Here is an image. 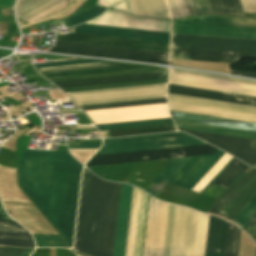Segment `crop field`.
Segmentation results:
<instances>
[{"label":"crop field","mask_w":256,"mask_h":256,"mask_svg":"<svg viewBox=\"0 0 256 256\" xmlns=\"http://www.w3.org/2000/svg\"><path fill=\"white\" fill-rule=\"evenodd\" d=\"M80 168L69 153L26 150L19 171L26 193L68 242L72 240Z\"/></svg>","instance_id":"crop-field-1"},{"label":"crop field","mask_w":256,"mask_h":256,"mask_svg":"<svg viewBox=\"0 0 256 256\" xmlns=\"http://www.w3.org/2000/svg\"><path fill=\"white\" fill-rule=\"evenodd\" d=\"M121 184L83 172L74 247L89 256H113Z\"/></svg>","instance_id":"crop-field-2"},{"label":"crop field","mask_w":256,"mask_h":256,"mask_svg":"<svg viewBox=\"0 0 256 256\" xmlns=\"http://www.w3.org/2000/svg\"><path fill=\"white\" fill-rule=\"evenodd\" d=\"M198 212L169 204L163 256H192ZM209 215L199 212L193 256H204Z\"/></svg>","instance_id":"crop-field-3"},{"label":"crop field","mask_w":256,"mask_h":256,"mask_svg":"<svg viewBox=\"0 0 256 256\" xmlns=\"http://www.w3.org/2000/svg\"><path fill=\"white\" fill-rule=\"evenodd\" d=\"M173 33L256 39V19L208 16L173 20Z\"/></svg>","instance_id":"crop-field-4"},{"label":"crop field","mask_w":256,"mask_h":256,"mask_svg":"<svg viewBox=\"0 0 256 256\" xmlns=\"http://www.w3.org/2000/svg\"><path fill=\"white\" fill-rule=\"evenodd\" d=\"M173 111L256 123V107L168 94Z\"/></svg>","instance_id":"crop-field-5"},{"label":"crop field","mask_w":256,"mask_h":256,"mask_svg":"<svg viewBox=\"0 0 256 256\" xmlns=\"http://www.w3.org/2000/svg\"><path fill=\"white\" fill-rule=\"evenodd\" d=\"M218 149L208 145L127 152L94 156L86 167L215 154Z\"/></svg>","instance_id":"crop-field-6"},{"label":"crop field","mask_w":256,"mask_h":256,"mask_svg":"<svg viewBox=\"0 0 256 256\" xmlns=\"http://www.w3.org/2000/svg\"><path fill=\"white\" fill-rule=\"evenodd\" d=\"M49 51L168 64L169 54L56 41Z\"/></svg>","instance_id":"crop-field-7"},{"label":"crop field","mask_w":256,"mask_h":256,"mask_svg":"<svg viewBox=\"0 0 256 256\" xmlns=\"http://www.w3.org/2000/svg\"><path fill=\"white\" fill-rule=\"evenodd\" d=\"M169 83L256 97V82L171 69Z\"/></svg>","instance_id":"crop-field-8"},{"label":"crop field","mask_w":256,"mask_h":256,"mask_svg":"<svg viewBox=\"0 0 256 256\" xmlns=\"http://www.w3.org/2000/svg\"><path fill=\"white\" fill-rule=\"evenodd\" d=\"M256 192V169L253 168L227 190L210 213L233 220Z\"/></svg>","instance_id":"crop-field-9"},{"label":"crop field","mask_w":256,"mask_h":256,"mask_svg":"<svg viewBox=\"0 0 256 256\" xmlns=\"http://www.w3.org/2000/svg\"><path fill=\"white\" fill-rule=\"evenodd\" d=\"M167 84L67 93L69 96L166 87ZM166 88L71 97L78 105L161 98Z\"/></svg>","instance_id":"crop-field-10"},{"label":"crop field","mask_w":256,"mask_h":256,"mask_svg":"<svg viewBox=\"0 0 256 256\" xmlns=\"http://www.w3.org/2000/svg\"><path fill=\"white\" fill-rule=\"evenodd\" d=\"M172 47L256 53V40L173 34Z\"/></svg>","instance_id":"crop-field-11"},{"label":"crop field","mask_w":256,"mask_h":256,"mask_svg":"<svg viewBox=\"0 0 256 256\" xmlns=\"http://www.w3.org/2000/svg\"><path fill=\"white\" fill-rule=\"evenodd\" d=\"M173 119L256 132V125L170 112ZM174 120L177 127L256 139V133Z\"/></svg>","instance_id":"crop-field-12"},{"label":"crop field","mask_w":256,"mask_h":256,"mask_svg":"<svg viewBox=\"0 0 256 256\" xmlns=\"http://www.w3.org/2000/svg\"><path fill=\"white\" fill-rule=\"evenodd\" d=\"M167 208L150 196L143 256H162Z\"/></svg>","instance_id":"crop-field-13"},{"label":"crop field","mask_w":256,"mask_h":256,"mask_svg":"<svg viewBox=\"0 0 256 256\" xmlns=\"http://www.w3.org/2000/svg\"><path fill=\"white\" fill-rule=\"evenodd\" d=\"M179 131L192 134L198 138H201L223 150L239 158L249 165L256 166V140L237 138L219 134H212L200 131H193L187 129L178 128ZM254 144V146H253ZM253 146V148H252ZM255 149V150H251Z\"/></svg>","instance_id":"crop-field-14"},{"label":"crop field","mask_w":256,"mask_h":256,"mask_svg":"<svg viewBox=\"0 0 256 256\" xmlns=\"http://www.w3.org/2000/svg\"><path fill=\"white\" fill-rule=\"evenodd\" d=\"M78 34L98 35L126 39L146 40L169 43L170 33L108 26L82 24L75 28Z\"/></svg>","instance_id":"crop-field-15"},{"label":"crop field","mask_w":256,"mask_h":256,"mask_svg":"<svg viewBox=\"0 0 256 256\" xmlns=\"http://www.w3.org/2000/svg\"><path fill=\"white\" fill-rule=\"evenodd\" d=\"M223 154L224 152L218 150L215 155L190 157L189 160L170 181V183L191 189ZM228 163L226 164V166L228 165ZM217 175L209 182V184L217 177ZM208 185L201 191V193L208 187Z\"/></svg>","instance_id":"crop-field-16"},{"label":"crop field","mask_w":256,"mask_h":256,"mask_svg":"<svg viewBox=\"0 0 256 256\" xmlns=\"http://www.w3.org/2000/svg\"><path fill=\"white\" fill-rule=\"evenodd\" d=\"M56 40L169 53V44L165 43L145 42L78 34L57 36Z\"/></svg>","instance_id":"crop-field-17"},{"label":"crop field","mask_w":256,"mask_h":256,"mask_svg":"<svg viewBox=\"0 0 256 256\" xmlns=\"http://www.w3.org/2000/svg\"><path fill=\"white\" fill-rule=\"evenodd\" d=\"M203 143L204 142L192 136H186V137H176V138L157 139V140H148V141L109 144V145H105L96 155L193 145V144H203Z\"/></svg>","instance_id":"crop-field-18"},{"label":"crop field","mask_w":256,"mask_h":256,"mask_svg":"<svg viewBox=\"0 0 256 256\" xmlns=\"http://www.w3.org/2000/svg\"><path fill=\"white\" fill-rule=\"evenodd\" d=\"M134 187L122 184L114 256H126Z\"/></svg>","instance_id":"crop-field-19"},{"label":"crop field","mask_w":256,"mask_h":256,"mask_svg":"<svg viewBox=\"0 0 256 256\" xmlns=\"http://www.w3.org/2000/svg\"><path fill=\"white\" fill-rule=\"evenodd\" d=\"M239 57L256 58L253 53L172 48V59L237 63Z\"/></svg>","instance_id":"crop-field-20"},{"label":"crop field","mask_w":256,"mask_h":256,"mask_svg":"<svg viewBox=\"0 0 256 256\" xmlns=\"http://www.w3.org/2000/svg\"><path fill=\"white\" fill-rule=\"evenodd\" d=\"M168 93L256 106V98L169 84Z\"/></svg>","instance_id":"crop-field-21"},{"label":"crop field","mask_w":256,"mask_h":256,"mask_svg":"<svg viewBox=\"0 0 256 256\" xmlns=\"http://www.w3.org/2000/svg\"><path fill=\"white\" fill-rule=\"evenodd\" d=\"M168 71L54 82L61 88L167 78Z\"/></svg>","instance_id":"crop-field-22"},{"label":"crop field","mask_w":256,"mask_h":256,"mask_svg":"<svg viewBox=\"0 0 256 256\" xmlns=\"http://www.w3.org/2000/svg\"><path fill=\"white\" fill-rule=\"evenodd\" d=\"M0 246L34 249L33 239L28 231L15 221L0 220Z\"/></svg>","instance_id":"crop-field-23"},{"label":"crop field","mask_w":256,"mask_h":256,"mask_svg":"<svg viewBox=\"0 0 256 256\" xmlns=\"http://www.w3.org/2000/svg\"><path fill=\"white\" fill-rule=\"evenodd\" d=\"M163 70H167V69L147 67V66H138V67H128V68H118V69H108V70H98V71H88V72L58 74V75H48L45 77H47L48 79H50L52 81H58V80H68V79H79V78H89V77H100V76H110V75L163 71Z\"/></svg>","instance_id":"crop-field-24"},{"label":"crop field","mask_w":256,"mask_h":256,"mask_svg":"<svg viewBox=\"0 0 256 256\" xmlns=\"http://www.w3.org/2000/svg\"><path fill=\"white\" fill-rule=\"evenodd\" d=\"M227 222L211 216L205 256H223Z\"/></svg>","instance_id":"crop-field-25"},{"label":"crop field","mask_w":256,"mask_h":256,"mask_svg":"<svg viewBox=\"0 0 256 256\" xmlns=\"http://www.w3.org/2000/svg\"><path fill=\"white\" fill-rule=\"evenodd\" d=\"M133 14L140 17L170 18L164 0H129Z\"/></svg>","instance_id":"crop-field-26"},{"label":"crop field","mask_w":256,"mask_h":256,"mask_svg":"<svg viewBox=\"0 0 256 256\" xmlns=\"http://www.w3.org/2000/svg\"><path fill=\"white\" fill-rule=\"evenodd\" d=\"M187 160L188 158L171 159L145 191L157 197Z\"/></svg>","instance_id":"crop-field-27"},{"label":"crop field","mask_w":256,"mask_h":256,"mask_svg":"<svg viewBox=\"0 0 256 256\" xmlns=\"http://www.w3.org/2000/svg\"><path fill=\"white\" fill-rule=\"evenodd\" d=\"M67 7V0H51L33 11L22 16L29 24L36 22L44 17L54 14ZM21 17L18 18L20 25L28 24Z\"/></svg>","instance_id":"crop-field-28"},{"label":"crop field","mask_w":256,"mask_h":256,"mask_svg":"<svg viewBox=\"0 0 256 256\" xmlns=\"http://www.w3.org/2000/svg\"><path fill=\"white\" fill-rule=\"evenodd\" d=\"M128 66H134V65L106 62V63H96V64L43 68L39 70L42 73V75H48V74H58V73H68V72H78V71H88V70H98V69H108V68H118V67H128Z\"/></svg>","instance_id":"crop-field-29"},{"label":"crop field","mask_w":256,"mask_h":256,"mask_svg":"<svg viewBox=\"0 0 256 256\" xmlns=\"http://www.w3.org/2000/svg\"><path fill=\"white\" fill-rule=\"evenodd\" d=\"M169 124H173L171 118L112 123V124H101V125H97V127L100 129V131H106V130H114V129H125V128H136V127H147V126H158V125H169Z\"/></svg>","instance_id":"crop-field-30"},{"label":"crop field","mask_w":256,"mask_h":256,"mask_svg":"<svg viewBox=\"0 0 256 256\" xmlns=\"http://www.w3.org/2000/svg\"><path fill=\"white\" fill-rule=\"evenodd\" d=\"M237 163L232 166L233 162ZM232 164V165H231ZM248 166L244 165L237 159H233L230 164L219 174V176L213 181V183L218 184L227 188L238 176H240Z\"/></svg>","instance_id":"crop-field-31"},{"label":"crop field","mask_w":256,"mask_h":256,"mask_svg":"<svg viewBox=\"0 0 256 256\" xmlns=\"http://www.w3.org/2000/svg\"><path fill=\"white\" fill-rule=\"evenodd\" d=\"M162 103H167L166 98L128 101V102H117V103H106V104H95V105H84V106H80V107L84 111H90V110H100V109H110V108L162 104Z\"/></svg>","instance_id":"crop-field-32"},{"label":"crop field","mask_w":256,"mask_h":256,"mask_svg":"<svg viewBox=\"0 0 256 256\" xmlns=\"http://www.w3.org/2000/svg\"><path fill=\"white\" fill-rule=\"evenodd\" d=\"M214 14H233L244 16L239 0H209Z\"/></svg>","instance_id":"crop-field-33"},{"label":"crop field","mask_w":256,"mask_h":256,"mask_svg":"<svg viewBox=\"0 0 256 256\" xmlns=\"http://www.w3.org/2000/svg\"><path fill=\"white\" fill-rule=\"evenodd\" d=\"M172 18L196 15L191 0H166Z\"/></svg>","instance_id":"crop-field-34"},{"label":"crop field","mask_w":256,"mask_h":256,"mask_svg":"<svg viewBox=\"0 0 256 256\" xmlns=\"http://www.w3.org/2000/svg\"><path fill=\"white\" fill-rule=\"evenodd\" d=\"M162 131H176V127L175 125H169V126L148 127V128H138V129L116 130V131H109V132L111 137H118V136L147 134V133L162 132Z\"/></svg>","instance_id":"crop-field-35"},{"label":"crop field","mask_w":256,"mask_h":256,"mask_svg":"<svg viewBox=\"0 0 256 256\" xmlns=\"http://www.w3.org/2000/svg\"><path fill=\"white\" fill-rule=\"evenodd\" d=\"M228 223L224 256H237L240 229Z\"/></svg>","instance_id":"crop-field-36"},{"label":"crop field","mask_w":256,"mask_h":256,"mask_svg":"<svg viewBox=\"0 0 256 256\" xmlns=\"http://www.w3.org/2000/svg\"><path fill=\"white\" fill-rule=\"evenodd\" d=\"M37 247H69L60 235H33Z\"/></svg>","instance_id":"crop-field-37"},{"label":"crop field","mask_w":256,"mask_h":256,"mask_svg":"<svg viewBox=\"0 0 256 256\" xmlns=\"http://www.w3.org/2000/svg\"><path fill=\"white\" fill-rule=\"evenodd\" d=\"M256 212V194L253 198L247 203V205L241 210V212L235 217L232 221L240 227H244L245 224L250 220V218Z\"/></svg>","instance_id":"crop-field-38"},{"label":"crop field","mask_w":256,"mask_h":256,"mask_svg":"<svg viewBox=\"0 0 256 256\" xmlns=\"http://www.w3.org/2000/svg\"><path fill=\"white\" fill-rule=\"evenodd\" d=\"M105 10L104 8L93 7L82 15L65 20V23L67 27L74 26L101 14Z\"/></svg>","instance_id":"crop-field-39"},{"label":"crop field","mask_w":256,"mask_h":256,"mask_svg":"<svg viewBox=\"0 0 256 256\" xmlns=\"http://www.w3.org/2000/svg\"><path fill=\"white\" fill-rule=\"evenodd\" d=\"M48 0H18L17 17L27 13Z\"/></svg>","instance_id":"crop-field-40"},{"label":"crop field","mask_w":256,"mask_h":256,"mask_svg":"<svg viewBox=\"0 0 256 256\" xmlns=\"http://www.w3.org/2000/svg\"><path fill=\"white\" fill-rule=\"evenodd\" d=\"M167 83V80L162 81H152V82H141V83H131V84H120V85H110V86H99V87H89V88H78V89H68L65 92L71 91H82V90H94V89H105V88H116V87H128V86H139V85H150V84H162Z\"/></svg>","instance_id":"crop-field-41"},{"label":"crop field","mask_w":256,"mask_h":256,"mask_svg":"<svg viewBox=\"0 0 256 256\" xmlns=\"http://www.w3.org/2000/svg\"><path fill=\"white\" fill-rule=\"evenodd\" d=\"M186 135L187 134H185V133H177V134L157 135V136L138 137V138H129V139L109 140V141H105V144L147 140V139H157V138H167V137H176V136H186Z\"/></svg>","instance_id":"crop-field-42"},{"label":"crop field","mask_w":256,"mask_h":256,"mask_svg":"<svg viewBox=\"0 0 256 256\" xmlns=\"http://www.w3.org/2000/svg\"><path fill=\"white\" fill-rule=\"evenodd\" d=\"M26 250L0 248V256H22ZM33 250H27L24 256H29Z\"/></svg>","instance_id":"crop-field-43"},{"label":"crop field","mask_w":256,"mask_h":256,"mask_svg":"<svg viewBox=\"0 0 256 256\" xmlns=\"http://www.w3.org/2000/svg\"><path fill=\"white\" fill-rule=\"evenodd\" d=\"M199 14H213L208 0H194Z\"/></svg>","instance_id":"crop-field-44"},{"label":"crop field","mask_w":256,"mask_h":256,"mask_svg":"<svg viewBox=\"0 0 256 256\" xmlns=\"http://www.w3.org/2000/svg\"><path fill=\"white\" fill-rule=\"evenodd\" d=\"M253 218L256 220V214ZM253 218L248 222V224L244 227L243 230H245L256 242V221Z\"/></svg>","instance_id":"crop-field-45"},{"label":"crop field","mask_w":256,"mask_h":256,"mask_svg":"<svg viewBox=\"0 0 256 256\" xmlns=\"http://www.w3.org/2000/svg\"><path fill=\"white\" fill-rule=\"evenodd\" d=\"M92 62H102V61L84 60V61H73V62L40 64V65H36V67H37V68H42V67H52V66H62V65L82 64V63H92Z\"/></svg>","instance_id":"crop-field-46"},{"label":"crop field","mask_w":256,"mask_h":256,"mask_svg":"<svg viewBox=\"0 0 256 256\" xmlns=\"http://www.w3.org/2000/svg\"><path fill=\"white\" fill-rule=\"evenodd\" d=\"M244 12L256 13V0H240Z\"/></svg>","instance_id":"crop-field-47"},{"label":"crop field","mask_w":256,"mask_h":256,"mask_svg":"<svg viewBox=\"0 0 256 256\" xmlns=\"http://www.w3.org/2000/svg\"><path fill=\"white\" fill-rule=\"evenodd\" d=\"M102 143H79V146H68L69 148H99Z\"/></svg>","instance_id":"crop-field-48"},{"label":"crop field","mask_w":256,"mask_h":256,"mask_svg":"<svg viewBox=\"0 0 256 256\" xmlns=\"http://www.w3.org/2000/svg\"><path fill=\"white\" fill-rule=\"evenodd\" d=\"M231 74L256 77V72H245V71H231Z\"/></svg>","instance_id":"crop-field-49"},{"label":"crop field","mask_w":256,"mask_h":256,"mask_svg":"<svg viewBox=\"0 0 256 256\" xmlns=\"http://www.w3.org/2000/svg\"><path fill=\"white\" fill-rule=\"evenodd\" d=\"M85 128H95L93 126H84V127H76L75 129H85ZM75 132H93L97 131V129H85V130H74Z\"/></svg>","instance_id":"crop-field-50"},{"label":"crop field","mask_w":256,"mask_h":256,"mask_svg":"<svg viewBox=\"0 0 256 256\" xmlns=\"http://www.w3.org/2000/svg\"><path fill=\"white\" fill-rule=\"evenodd\" d=\"M0 212H1V214L3 215V217H4L5 219L11 220V219L9 218V216L7 215V213L5 212V210H4V208H3L2 204H1V202H0ZM1 214H0V219H4Z\"/></svg>","instance_id":"crop-field-51"},{"label":"crop field","mask_w":256,"mask_h":256,"mask_svg":"<svg viewBox=\"0 0 256 256\" xmlns=\"http://www.w3.org/2000/svg\"><path fill=\"white\" fill-rule=\"evenodd\" d=\"M97 149H70L71 152H96Z\"/></svg>","instance_id":"crop-field-52"}]
</instances>
